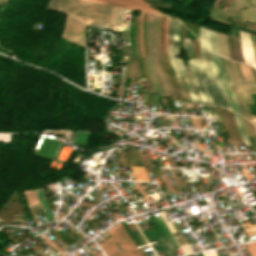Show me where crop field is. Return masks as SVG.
I'll return each instance as SVG.
<instances>
[{
	"label": "crop field",
	"instance_id": "crop-field-27",
	"mask_svg": "<svg viewBox=\"0 0 256 256\" xmlns=\"http://www.w3.org/2000/svg\"><path fill=\"white\" fill-rule=\"evenodd\" d=\"M241 3H242V8H244L245 7L244 0H241ZM241 3H240V0H237L236 8H241Z\"/></svg>",
	"mask_w": 256,
	"mask_h": 256
},
{
	"label": "crop field",
	"instance_id": "crop-field-18",
	"mask_svg": "<svg viewBox=\"0 0 256 256\" xmlns=\"http://www.w3.org/2000/svg\"><path fill=\"white\" fill-rule=\"evenodd\" d=\"M200 40L211 49L210 31L200 27Z\"/></svg>",
	"mask_w": 256,
	"mask_h": 256
},
{
	"label": "crop field",
	"instance_id": "crop-field-25",
	"mask_svg": "<svg viewBox=\"0 0 256 256\" xmlns=\"http://www.w3.org/2000/svg\"><path fill=\"white\" fill-rule=\"evenodd\" d=\"M249 36H250L251 44H252L253 51H254V54H255V58H256V42H255V39L252 35L249 34Z\"/></svg>",
	"mask_w": 256,
	"mask_h": 256
},
{
	"label": "crop field",
	"instance_id": "crop-field-1",
	"mask_svg": "<svg viewBox=\"0 0 256 256\" xmlns=\"http://www.w3.org/2000/svg\"><path fill=\"white\" fill-rule=\"evenodd\" d=\"M201 52H202V59H194V60H195L197 72L200 76V79L202 81L203 87L205 89V92L207 94L210 104L220 106V107H226L231 110V106H230L228 97H227L225 90L216 74L214 64L212 61L211 51L201 43ZM204 63H205V65L207 63V65L210 69V74L207 73ZM212 69L214 71V74L219 82V85H220L223 93L221 92V90L216 82V79H215Z\"/></svg>",
	"mask_w": 256,
	"mask_h": 256
},
{
	"label": "crop field",
	"instance_id": "crop-field-21",
	"mask_svg": "<svg viewBox=\"0 0 256 256\" xmlns=\"http://www.w3.org/2000/svg\"><path fill=\"white\" fill-rule=\"evenodd\" d=\"M152 25H153V15H152ZM151 39H152V27H151ZM152 49H153V39H152ZM153 52H155L154 49H153ZM153 55H154L155 62H156V66H157V61H156L155 53H153ZM157 68H158V66H157ZM158 70H159V68H158ZM159 72H160V71H159ZM160 77H161V79H162V81H163L164 88H165V92H166V94H167L169 91L167 92V89H168V88L166 89V86H167V85L165 86V83H166V82L164 83V80H163L161 74H160Z\"/></svg>",
	"mask_w": 256,
	"mask_h": 256
},
{
	"label": "crop field",
	"instance_id": "crop-field-26",
	"mask_svg": "<svg viewBox=\"0 0 256 256\" xmlns=\"http://www.w3.org/2000/svg\"><path fill=\"white\" fill-rule=\"evenodd\" d=\"M245 1H246L247 7H249V6H256V0H248L249 1V6H248V1L247 0H245Z\"/></svg>",
	"mask_w": 256,
	"mask_h": 256
},
{
	"label": "crop field",
	"instance_id": "crop-field-19",
	"mask_svg": "<svg viewBox=\"0 0 256 256\" xmlns=\"http://www.w3.org/2000/svg\"><path fill=\"white\" fill-rule=\"evenodd\" d=\"M160 19H161V15H159V24H158V52H160L159 51V33H160ZM156 28H157V18H156ZM155 49H156V40H155ZM156 52H157V50H156ZM157 57H158V53H157ZM159 58H160V62H161V55H160V53H159ZM160 65V64H159ZM161 66H162V63H161ZM161 68V67H160ZM162 68H163V66H162ZM161 71H162V69H161ZM163 71H164V69H163ZM162 71V72H163ZM165 73V72H164ZM166 75V74H165ZM167 77V76H166ZM167 79H168V77H167ZM168 81H169V79H168ZM169 83H170V81H169ZM169 85V84H168ZM170 86H171V89H172V92H173V95H174V91H173V88H172V85H171V83H170ZM170 86H169V88H170ZM170 89V90H171ZM172 92H171V94H172ZM173 95H172V98H173ZM174 99L176 100V97H175V95H174ZM177 101V100H176Z\"/></svg>",
	"mask_w": 256,
	"mask_h": 256
},
{
	"label": "crop field",
	"instance_id": "crop-field-15",
	"mask_svg": "<svg viewBox=\"0 0 256 256\" xmlns=\"http://www.w3.org/2000/svg\"><path fill=\"white\" fill-rule=\"evenodd\" d=\"M218 43H219V48H220V55L224 56V57H228V53H227L228 45L226 48V37L219 33H218ZM218 43H217V48H218ZM218 52H219V49H218ZM229 58H230V56H229Z\"/></svg>",
	"mask_w": 256,
	"mask_h": 256
},
{
	"label": "crop field",
	"instance_id": "crop-field-9",
	"mask_svg": "<svg viewBox=\"0 0 256 256\" xmlns=\"http://www.w3.org/2000/svg\"><path fill=\"white\" fill-rule=\"evenodd\" d=\"M235 3H236V0H232V3H231L230 7L234 8L235 7ZM228 10L229 9H221L215 17L223 20V18L226 16ZM233 11H234V9L230 8V10H229V12L227 14V17L231 18L232 15H233ZM232 18L242 21V10H235L234 15H233Z\"/></svg>",
	"mask_w": 256,
	"mask_h": 256
},
{
	"label": "crop field",
	"instance_id": "crop-field-28",
	"mask_svg": "<svg viewBox=\"0 0 256 256\" xmlns=\"http://www.w3.org/2000/svg\"><path fill=\"white\" fill-rule=\"evenodd\" d=\"M184 43H185V45H189V44H190V40L184 39ZM187 47H188L189 55L191 56V54H190V48H189V46H187ZM186 49H187V48H186ZM187 54H188V52H187Z\"/></svg>",
	"mask_w": 256,
	"mask_h": 256
},
{
	"label": "crop field",
	"instance_id": "crop-field-16",
	"mask_svg": "<svg viewBox=\"0 0 256 256\" xmlns=\"http://www.w3.org/2000/svg\"><path fill=\"white\" fill-rule=\"evenodd\" d=\"M234 117H235V120L237 122V125H238V128H239V131H240V134H241L244 145L245 146H250L251 144H250V142H249V140L246 136L245 130L243 128L241 117L238 116V115H235V114H234Z\"/></svg>",
	"mask_w": 256,
	"mask_h": 256
},
{
	"label": "crop field",
	"instance_id": "crop-field-4",
	"mask_svg": "<svg viewBox=\"0 0 256 256\" xmlns=\"http://www.w3.org/2000/svg\"><path fill=\"white\" fill-rule=\"evenodd\" d=\"M150 217L152 218V220H149V221L156 231L143 232L148 242H153V241L157 242L152 245L156 253L163 252L165 256H178V253L176 252V250L173 249V247L171 246V244L169 243V241L161 231L160 227L156 223L153 215H151Z\"/></svg>",
	"mask_w": 256,
	"mask_h": 256
},
{
	"label": "crop field",
	"instance_id": "crop-field-29",
	"mask_svg": "<svg viewBox=\"0 0 256 256\" xmlns=\"http://www.w3.org/2000/svg\"><path fill=\"white\" fill-rule=\"evenodd\" d=\"M138 64V63H137ZM137 64L135 63V65H136V69H137V73H138V77L140 78V76H139V72H138V68H137ZM135 65H134V68H135ZM136 69H135V72H136ZM137 73H136V76H137ZM137 77V78H138Z\"/></svg>",
	"mask_w": 256,
	"mask_h": 256
},
{
	"label": "crop field",
	"instance_id": "crop-field-6",
	"mask_svg": "<svg viewBox=\"0 0 256 256\" xmlns=\"http://www.w3.org/2000/svg\"><path fill=\"white\" fill-rule=\"evenodd\" d=\"M219 57H220V56H219ZM227 60H228V59H227ZM227 60L224 58L225 65H226V69H227L228 74H229L230 79H231V83L234 84L233 78H232V74H233V71H232V64H231V61L228 60L229 67H230V70H231V72H232V74H231V72H230V70H229V67H228V64H227ZM220 61H221V64H222V66H223V68H224L225 77H226V79H227V81H228V83H229V85H230V84H231V83H230V79H229V76H228L227 71H226V69H225V65H224V61H223V58H222V57H220ZM233 77H234V74H233ZM234 80H235V77H234ZM235 83H236V85H237V87H238V90H239V92H240L242 98L244 99V96H243V94H242V92H241V90H240V88H239V86H238L236 80H235ZM230 88H231V90H232V92H233L235 98H236V99H241L240 94H239V92H238L236 86H235V85H231ZM236 101H237V105H238V107H239V111L241 110V105H242V109H245V106H246L249 120H251V117H250V114H249V111H248V108H247L246 100H245V99L243 100L244 103H245V106H244V103H243L242 100H240V101H241V105H240L239 100H236ZM241 113H242V116H244L245 118H247V117H246V112H245V110H242ZM241 113H240V114H241Z\"/></svg>",
	"mask_w": 256,
	"mask_h": 256
},
{
	"label": "crop field",
	"instance_id": "crop-field-23",
	"mask_svg": "<svg viewBox=\"0 0 256 256\" xmlns=\"http://www.w3.org/2000/svg\"><path fill=\"white\" fill-rule=\"evenodd\" d=\"M229 113H230V116H231L232 123H233V125H234V127H235L236 133H237V135H238L239 141L241 142L242 140H241V137H240V134H239V131H238L236 122H235V120H234L233 114H232V112H230V111H229Z\"/></svg>",
	"mask_w": 256,
	"mask_h": 256
},
{
	"label": "crop field",
	"instance_id": "crop-field-17",
	"mask_svg": "<svg viewBox=\"0 0 256 256\" xmlns=\"http://www.w3.org/2000/svg\"><path fill=\"white\" fill-rule=\"evenodd\" d=\"M243 21L256 22V8L243 10Z\"/></svg>",
	"mask_w": 256,
	"mask_h": 256
},
{
	"label": "crop field",
	"instance_id": "crop-field-30",
	"mask_svg": "<svg viewBox=\"0 0 256 256\" xmlns=\"http://www.w3.org/2000/svg\"><path fill=\"white\" fill-rule=\"evenodd\" d=\"M236 63H237V62H236ZM237 67H238V71H239V74H240V78L243 79V78H242V75H241V72H240V69H239V66H238V63H237Z\"/></svg>",
	"mask_w": 256,
	"mask_h": 256
},
{
	"label": "crop field",
	"instance_id": "crop-field-7",
	"mask_svg": "<svg viewBox=\"0 0 256 256\" xmlns=\"http://www.w3.org/2000/svg\"><path fill=\"white\" fill-rule=\"evenodd\" d=\"M188 67H189V71H190V74H191V77H192L194 88L196 89V91L198 92V94L200 96L201 103L202 104H209V102H208V100L205 96V93H204L202 84L200 82L199 76L196 72L193 59L188 61Z\"/></svg>",
	"mask_w": 256,
	"mask_h": 256
},
{
	"label": "crop field",
	"instance_id": "crop-field-2",
	"mask_svg": "<svg viewBox=\"0 0 256 256\" xmlns=\"http://www.w3.org/2000/svg\"><path fill=\"white\" fill-rule=\"evenodd\" d=\"M178 28L179 22L174 19L169 18V28H168V54L170 57L171 67L174 70L175 77H183L185 76L186 84L188 91L191 95V99L193 103L200 104L198 97L192 91L188 74L184 68L183 62L181 59H177L175 56L179 55L178 50Z\"/></svg>",
	"mask_w": 256,
	"mask_h": 256
},
{
	"label": "crop field",
	"instance_id": "crop-field-12",
	"mask_svg": "<svg viewBox=\"0 0 256 256\" xmlns=\"http://www.w3.org/2000/svg\"><path fill=\"white\" fill-rule=\"evenodd\" d=\"M35 191L37 193V196L39 198V201L41 203V206H42V209L44 211V214L46 216L47 221L48 222L54 221V218H53V216L51 214L50 207H49L48 202H47V200H46V198L44 196L43 190L42 189H38V190H35Z\"/></svg>",
	"mask_w": 256,
	"mask_h": 256
},
{
	"label": "crop field",
	"instance_id": "crop-field-5",
	"mask_svg": "<svg viewBox=\"0 0 256 256\" xmlns=\"http://www.w3.org/2000/svg\"><path fill=\"white\" fill-rule=\"evenodd\" d=\"M87 1L104 3V4H108L116 7H122L126 9H131V10H141L142 14H143V11L151 12L155 14H163L158 10H155L146 6L140 0H87ZM141 25H142V16H141V22H140V40H141V48H142ZM167 27H168V18H167V25H166V51H167ZM142 54H143V48H142ZM143 59H144V55H143Z\"/></svg>",
	"mask_w": 256,
	"mask_h": 256
},
{
	"label": "crop field",
	"instance_id": "crop-field-13",
	"mask_svg": "<svg viewBox=\"0 0 256 256\" xmlns=\"http://www.w3.org/2000/svg\"><path fill=\"white\" fill-rule=\"evenodd\" d=\"M156 221L158 222V224L160 225L161 229L163 230V232L165 233V235L167 236V238L169 239L170 243L172 244V246L174 247V249L179 248V245L177 244V242L175 241V239L173 238V236L171 235V233L169 232V230L167 229L166 225L164 224V222L162 221L161 217L156 218Z\"/></svg>",
	"mask_w": 256,
	"mask_h": 256
},
{
	"label": "crop field",
	"instance_id": "crop-field-3",
	"mask_svg": "<svg viewBox=\"0 0 256 256\" xmlns=\"http://www.w3.org/2000/svg\"><path fill=\"white\" fill-rule=\"evenodd\" d=\"M111 238L104 240L107 244L100 246L106 255L119 252L113 241L117 240L124 252L113 256H141L121 224L107 231Z\"/></svg>",
	"mask_w": 256,
	"mask_h": 256
},
{
	"label": "crop field",
	"instance_id": "crop-field-31",
	"mask_svg": "<svg viewBox=\"0 0 256 256\" xmlns=\"http://www.w3.org/2000/svg\"><path fill=\"white\" fill-rule=\"evenodd\" d=\"M250 68H251V71H252L253 77H254V79H255V81H256V78H255V75H254L253 69H252V67H250ZM255 70H256V69H255Z\"/></svg>",
	"mask_w": 256,
	"mask_h": 256
},
{
	"label": "crop field",
	"instance_id": "crop-field-20",
	"mask_svg": "<svg viewBox=\"0 0 256 256\" xmlns=\"http://www.w3.org/2000/svg\"><path fill=\"white\" fill-rule=\"evenodd\" d=\"M251 256H256V242L246 245Z\"/></svg>",
	"mask_w": 256,
	"mask_h": 256
},
{
	"label": "crop field",
	"instance_id": "crop-field-24",
	"mask_svg": "<svg viewBox=\"0 0 256 256\" xmlns=\"http://www.w3.org/2000/svg\"><path fill=\"white\" fill-rule=\"evenodd\" d=\"M180 79H181V78H180ZM180 79L178 78L179 83H180V85H181V88H182V90H183V92H184V89H185V86H186V85L184 86L185 83L183 84L184 79L182 78L183 81H182V79H181V81H182V84H183V87H184V89H183ZM176 80H177V79H176ZM178 80H177V82H178ZM179 83H178V84H179ZM186 90H187V88H186ZM185 92H186V91H185ZM185 92H184V95H185ZM187 92H188V91H187ZM182 94H183V93H182ZM184 95H183V98H184V102L186 103L187 98H186V101H185V97H186L187 93H186L185 97H184ZM187 97H188V95H187ZM188 101H189V98H188ZM188 101H187V103H188ZM190 101H191V100H190ZM189 103H190V102H189ZM191 103H192V102H191Z\"/></svg>",
	"mask_w": 256,
	"mask_h": 256
},
{
	"label": "crop field",
	"instance_id": "crop-field-11",
	"mask_svg": "<svg viewBox=\"0 0 256 256\" xmlns=\"http://www.w3.org/2000/svg\"><path fill=\"white\" fill-rule=\"evenodd\" d=\"M212 55H213V61H214L215 67L217 69V74L220 77L221 81L224 83L223 79L220 76V72H219V69H218V66H219V68L221 70V66H220V62H219V57L217 55H215L214 53H212ZM217 64H218V66H217ZM221 73H222V70H221ZM222 75H223V73H222ZM223 78H224V80L226 82V79H225L224 75H223ZM226 84H227V82H226ZM224 85H225V83H224ZM227 86H228V84H227ZM227 86L225 85V88H226V91H227V93L229 95L230 102H231V105H232V109H233V111L239 113L238 112V107H237L236 102H235V99H234L231 91H229L230 89L228 90L229 87L227 88Z\"/></svg>",
	"mask_w": 256,
	"mask_h": 256
},
{
	"label": "crop field",
	"instance_id": "crop-field-10",
	"mask_svg": "<svg viewBox=\"0 0 256 256\" xmlns=\"http://www.w3.org/2000/svg\"><path fill=\"white\" fill-rule=\"evenodd\" d=\"M233 62H234V61H233ZM233 62H232V64H233ZM234 65H235V67H236L235 62H234ZM234 65H233V70H234L235 76H236V78H237L238 84H239V86H240V88H241L243 94H244L245 97H246L247 103L250 104V102L252 103V97L249 95V91H248V89H247L245 83L247 84V86H248V88H249V90H250L251 93H252L251 88L253 89L254 92H256V84H255L254 80H248V82H249V84H250V86H251V88H250V86H249V84L247 83L246 80H244L245 83L243 82V80H240L241 83H242V85H243V87H244V89H245V91H246V93H247L248 96H249V99H250V102H249V99H248V97H247V95H246V93H245V91H244V89H243V87H242L240 81L238 80V76H239V75L237 76L238 71H237V73H236L237 68H236V70H235ZM239 79H240V78H239Z\"/></svg>",
	"mask_w": 256,
	"mask_h": 256
},
{
	"label": "crop field",
	"instance_id": "crop-field-22",
	"mask_svg": "<svg viewBox=\"0 0 256 256\" xmlns=\"http://www.w3.org/2000/svg\"><path fill=\"white\" fill-rule=\"evenodd\" d=\"M211 41H212V51H213L214 53H217L215 32L211 33ZM217 54H218V53H217Z\"/></svg>",
	"mask_w": 256,
	"mask_h": 256
},
{
	"label": "crop field",
	"instance_id": "crop-field-14",
	"mask_svg": "<svg viewBox=\"0 0 256 256\" xmlns=\"http://www.w3.org/2000/svg\"><path fill=\"white\" fill-rule=\"evenodd\" d=\"M129 168L133 174L134 180L149 181L143 170V167H129Z\"/></svg>",
	"mask_w": 256,
	"mask_h": 256
},
{
	"label": "crop field",
	"instance_id": "crop-field-8",
	"mask_svg": "<svg viewBox=\"0 0 256 256\" xmlns=\"http://www.w3.org/2000/svg\"><path fill=\"white\" fill-rule=\"evenodd\" d=\"M242 34H243L244 45H245V48H246V51H247L249 63H250L251 66L256 67V62H255L254 54H253V51H252V48H251L249 36H248V34H245V33H242ZM239 35H240V38H241L242 53H243L245 62L247 64H249L247 56H246L245 48H244V45H243V41H242V35H241L240 31H239Z\"/></svg>",
	"mask_w": 256,
	"mask_h": 256
}]
</instances>
